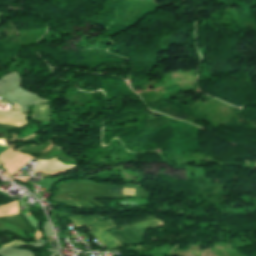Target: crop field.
Instances as JSON below:
<instances>
[{"label": "crop field", "instance_id": "obj_4", "mask_svg": "<svg viewBox=\"0 0 256 256\" xmlns=\"http://www.w3.org/2000/svg\"><path fill=\"white\" fill-rule=\"evenodd\" d=\"M163 224H164L163 222L159 221L156 218H153V219H149V220L131 224V226L135 230L136 233L141 235L145 231H147L153 227L161 226Z\"/></svg>", "mask_w": 256, "mask_h": 256}, {"label": "crop field", "instance_id": "obj_1", "mask_svg": "<svg viewBox=\"0 0 256 256\" xmlns=\"http://www.w3.org/2000/svg\"><path fill=\"white\" fill-rule=\"evenodd\" d=\"M69 218L76 225L77 228L85 225L90 231L88 233H90L92 236L102 242L109 249L122 246L118 241H116L110 234L105 231L110 227L114 226L111 220L97 222L95 217L82 218L81 216H72Z\"/></svg>", "mask_w": 256, "mask_h": 256}, {"label": "crop field", "instance_id": "obj_3", "mask_svg": "<svg viewBox=\"0 0 256 256\" xmlns=\"http://www.w3.org/2000/svg\"><path fill=\"white\" fill-rule=\"evenodd\" d=\"M0 122L19 126H24L28 124V122L25 120L24 115L8 111H0Z\"/></svg>", "mask_w": 256, "mask_h": 256}, {"label": "crop field", "instance_id": "obj_2", "mask_svg": "<svg viewBox=\"0 0 256 256\" xmlns=\"http://www.w3.org/2000/svg\"><path fill=\"white\" fill-rule=\"evenodd\" d=\"M68 168H74V165H64L59 163L55 158L49 159L46 161H38V164L34 170V172L42 169L47 172L56 171V170H62V169H68Z\"/></svg>", "mask_w": 256, "mask_h": 256}, {"label": "crop field", "instance_id": "obj_6", "mask_svg": "<svg viewBox=\"0 0 256 256\" xmlns=\"http://www.w3.org/2000/svg\"><path fill=\"white\" fill-rule=\"evenodd\" d=\"M32 108H33V105L29 107L28 115H29V114H31V112H32Z\"/></svg>", "mask_w": 256, "mask_h": 256}, {"label": "crop field", "instance_id": "obj_5", "mask_svg": "<svg viewBox=\"0 0 256 256\" xmlns=\"http://www.w3.org/2000/svg\"><path fill=\"white\" fill-rule=\"evenodd\" d=\"M122 188H111L110 187V192L112 194H121ZM122 194L126 195H134V189H128V188H123Z\"/></svg>", "mask_w": 256, "mask_h": 256}]
</instances>
